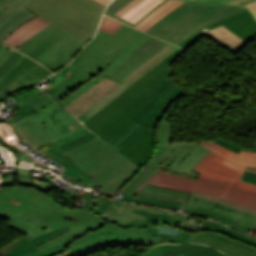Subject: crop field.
I'll return each mask as SVG.
<instances>
[{
	"label": "crop field",
	"instance_id": "obj_1",
	"mask_svg": "<svg viewBox=\"0 0 256 256\" xmlns=\"http://www.w3.org/2000/svg\"><path fill=\"white\" fill-rule=\"evenodd\" d=\"M0 217L26 235L1 248L0 256H71L75 253L62 243L41 252L35 246L82 222L97 228L107 223L92 212L66 209L38 190L18 185L0 187Z\"/></svg>",
	"mask_w": 256,
	"mask_h": 256
},
{
	"label": "crop field",
	"instance_id": "obj_2",
	"mask_svg": "<svg viewBox=\"0 0 256 256\" xmlns=\"http://www.w3.org/2000/svg\"><path fill=\"white\" fill-rule=\"evenodd\" d=\"M150 37L125 24L114 35L99 30L96 38L61 70L68 77L46 92L66 107L91 86L108 78Z\"/></svg>",
	"mask_w": 256,
	"mask_h": 256
},
{
	"label": "crop field",
	"instance_id": "obj_3",
	"mask_svg": "<svg viewBox=\"0 0 256 256\" xmlns=\"http://www.w3.org/2000/svg\"><path fill=\"white\" fill-rule=\"evenodd\" d=\"M182 50H175L83 124L110 144L124 135L134 125L128 119L150 101L145 96L169 80L168 63Z\"/></svg>",
	"mask_w": 256,
	"mask_h": 256
},
{
	"label": "crop field",
	"instance_id": "obj_4",
	"mask_svg": "<svg viewBox=\"0 0 256 256\" xmlns=\"http://www.w3.org/2000/svg\"><path fill=\"white\" fill-rule=\"evenodd\" d=\"M64 154L102 187L101 193L112 197L140 169L98 137Z\"/></svg>",
	"mask_w": 256,
	"mask_h": 256
},
{
	"label": "crop field",
	"instance_id": "obj_5",
	"mask_svg": "<svg viewBox=\"0 0 256 256\" xmlns=\"http://www.w3.org/2000/svg\"><path fill=\"white\" fill-rule=\"evenodd\" d=\"M209 152L210 150L192 141L173 142V132L167 112L155 131V151L151 159L119 192L137 191L162 167L198 176L199 173L191 170Z\"/></svg>",
	"mask_w": 256,
	"mask_h": 256
},
{
	"label": "crop field",
	"instance_id": "obj_6",
	"mask_svg": "<svg viewBox=\"0 0 256 256\" xmlns=\"http://www.w3.org/2000/svg\"><path fill=\"white\" fill-rule=\"evenodd\" d=\"M245 10L226 4L185 2L146 32L177 45L205 27Z\"/></svg>",
	"mask_w": 256,
	"mask_h": 256
},
{
	"label": "crop field",
	"instance_id": "obj_7",
	"mask_svg": "<svg viewBox=\"0 0 256 256\" xmlns=\"http://www.w3.org/2000/svg\"><path fill=\"white\" fill-rule=\"evenodd\" d=\"M30 12L84 40L95 34L105 5L95 0H30Z\"/></svg>",
	"mask_w": 256,
	"mask_h": 256
},
{
	"label": "crop field",
	"instance_id": "obj_8",
	"mask_svg": "<svg viewBox=\"0 0 256 256\" xmlns=\"http://www.w3.org/2000/svg\"><path fill=\"white\" fill-rule=\"evenodd\" d=\"M144 230L142 228L122 229L112 223L97 229L82 223L63 235L37 246V248L41 251L62 242L74 252L86 256L105 247L156 244L162 240L160 236L144 233Z\"/></svg>",
	"mask_w": 256,
	"mask_h": 256
},
{
	"label": "crop field",
	"instance_id": "obj_9",
	"mask_svg": "<svg viewBox=\"0 0 256 256\" xmlns=\"http://www.w3.org/2000/svg\"><path fill=\"white\" fill-rule=\"evenodd\" d=\"M163 170L165 168L155 173L138 191L147 183L179 191L191 192L194 189L256 210L255 185L211 174L196 168L193 170L201 173L198 181L173 176L162 172Z\"/></svg>",
	"mask_w": 256,
	"mask_h": 256
},
{
	"label": "crop field",
	"instance_id": "obj_10",
	"mask_svg": "<svg viewBox=\"0 0 256 256\" xmlns=\"http://www.w3.org/2000/svg\"><path fill=\"white\" fill-rule=\"evenodd\" d=\"M85 43L86 41L50 25L15 49L55 72L67 64Z\"/></svg>",
	"mask_w": 256,
	"mask_h": 256
},
{
	"label": "crop field",
	"instance_id": "obj_11",
	"mask_svg": "<svg viewBox=\"0 0 256 256\" xmlns=\"http://www.w3.org/2000/svg\"><path fill=\"white\" fill-rule=\"evenodd\" d=\"M36 96L41 99H39L31 109L38 113L22 118L14 124L18 134L35 149L52 140L51 136L45 130L41 120L64 110L55 99L37 88L14 97L18 100L14 106L20 107L24 102Z\"/></svg>",
	"mask_w": 256,
	"mask_h": 256
},
{
	"label": "crop field",
	"instance_id": "obj_12",
	"mask_svg": "<svg viewBox=\"0 0 256 256\" xmlns=\"http://www.w3.org/2000/svg\"><path fill=\"white\" fill-rule=\"evenodd\" d=\"M48 70L26 56H22L0 78V100L26 88L32 87L49 75Z\"/></svg>",
	"mask_w": 256,
	"mask_h": 256
},
{
	"label": "crop field",
	"instance_id": "obj_13",
	"mask_svg": "<svg viewBox=\"0 0 256 256\" xmlns=\"http://www.w3.org/2000/svg\"><path fill=\"white\" fill-rule=\"evenodd\" d=\"M183 211L222 221L245 232L255 219V216L248 213L192 195Z\"/></svg>",
	"mask_w": 256,
	"mask_h": 256
},
{
	"label": "crop field",
	"instance_id": "obj_14",
	"mask_svg": "<svg viewBox=\"0 0 256 256\" xmlns=\"http://www.w3.org/2000/svg\"><path fill=\"white\" fill-rule=\"evenodd\" d=\"M185 94L187 93L179 87L158 103L151 100L145 107H143L139 112H137L133 117L129 119L139 125L136 127L135 131L132 134H130L122 143H120L115 148L118 149L122 145L127 143L135 135L140 126H143L154 132L158 122L167 112L169 107L177 99L181 98Z\"/></svg>",
	"mask_w": 256,
	"mask_h": 256
},
{
	"label": "crop field",
	"instance_id": "obj_15",
	"mask_svg": "<svg viewBox=\"0 0 256 256\" xmlns=\"http://www.w3.org/2000/svg\"><path fill=\"white\" fill-rule=\"evenodd\" d=\"M188 243H204L228 256H256V247L210 231L192 233Z\"/></svg>",
	"mask_w": 256,
	"mask_h": 256
},
{
	"label": "crop field",
	"instance_id": "obj_16",
	"mask_svg": "<svg viewBox=\"0 0 256 256\" xmlns=\"http://www.w3.org/2000/svg\"><path fill=\"white\" fill-rule=\"evenodd\" d=\"M175 49H177V47H175L171 44L166 46L157 55H155L153 58H151L149 61H147L145 64H143L141 67H139L133 73H131L129 76H127L126 78H124L123 80L118 82L121 84L119 87H117L114 91H112L109 95H107L105 98H103L100 102H98L95 106H93L90 110H88L86 113H84L78 119L80 120L83 118L86 121L88 119H90L101 108H103L106 104H108L110 101H112L118 94H120L128 85H130L132 82H134L136 79H138L141 75H143L145 72H147L149 69H151L155 64H157L159 61L164 59Z\"/></svg>",
	"mask_w": 256,
	"mask_h": 256
},
{
	"label": "crop field",
	"instance_id": "obj_17",
	"mask_svg": "<svg viewBox=\"0 0 256 256\" xmlns=\"http://www.w3.org/2000/svg\"><path fill=\"white\" fill-rule=\"evenodd\" d=\"M219 25L225 26L230 31H232L239 37L243 38L247 42L251 38L255 37V35H256V20L254 19L252 14L249 12V10H247L245 12H242L238 15L229 17L223 21H220V22L200 31L199 33L187 38L185 41L178 44V46L185 48L187 45H189L192 41H194L202 33L208 31L211 28L217 27Z\"/></svg>",
	"mask_w": 256,
	"mask_h": 256
},
{
	"label": "crop field",
	"instance_id": "obj_18",
	"mask_svg": "<svg viewBox=\"0 0 256 256\" xmlns=\"http://www.w3.org/2000/svg\"><path fill=\"white\" fill-rule=\"evenodd\" d=\"M168 43L152 37L139 47L110 77L109 79L116 82L120 81L132 71L137 69L161 49H163Z\"/></svg>",
	"mask_w": 256,
	"mask_h": 256
},
{
	"label": "crop field",
	"instance_id": "obj_19",
	"mask_svg": "<svg viewBox=\"0 0 256 256\" xmlns=\"http://www.w3.org/2000/svg\"><path fill=\"white\" fill-rule=\"evenodd\" d=\"M154 150V133L140 127L136 135L118 149L138 166H144Z\"/></svg>",
	"mask_w": 256,
	"mask_h": 256
},
{
	"label": "crop field",
	"instance_id": "obj_20",
	"mask_svg": "<svg viewBox=\"0 0 256 256\" xmlns=\"http://www.w3.org/2000/svg\"><path fill=\"white\" fill-rule=\"evenodd\" d=\"M119 85L105 78L75 99L66 108L78 118Z\"/></svg>",
	"mask_w": 256,
	"mask_h": 256
},
{
	"label": "crop field",
	"instance_id": "obj_21",
	"mask_svg": "<svg viewBox=\"0 0 256 256\" xmlns=\"http://www.w3.org/2000/svg\"><path fill=\"white\" fill-rule=\"evenodd\" d=\"M46 130L54 139L57 141L70 133L84 127L80 122H78L68 111L64 110L48 119L42 121ZM51 141V142H53ZM49 142L37 150L43 151L53 144Z\"/></svg>",
	"mask_w": 256,
	"mask_h": 256
},
{
	"label": "crop field",
	"instance_id": "obj_22",
	"mask_svg": "<svg viewBox=\"0 0 256 256\" xmlns=\"http://www.w3.org/2000/svg\"><path fill=\"white\" fill-rule=\"evenodd\" d=\"M196 168L240 180L245 167L211 151ZM241 181V180H240Z\"/></svg>",
	"mask_w": 256,
	"mask_h": 256
},
{
	"label": "crop field",
	"instance_id": "obj_23",
	"mask_svg": "<svg viewBox=\"0 0 256 256\" xmlns=\"http://www.w3.org/2000/svg\"><path fill=\"white\" fill-rule=\"evenodd\" d=\"M30 3L29 0H24L8 9L2 10L0 16V42L9 36L14 30L25 22L37 17L30 13L23 6Z\"/></svg>",
	"mask_w": 256,
	"mask_h": 256
},
{
	"label": "crop field",
	"instance_id": "obj_24",
	"mask_svg": "<svg viewBox=\"0 0 256 256\" xmlns=\"http://www.w3.org/2000/svg\"><path fill=\"white\" fill-rule=\"evenodd\" d=\"M89 130L85 127L82 128L80 130H78L77 132L57 141L54 142L53 144L55 146L43 151L45 154L51 156L52 158L55 159V162L58 163L59 165L65 167L67 170L64 172L65 174L72 176L74 178L83 180V181H87V182H91L92 183V178L87 175L82 169H80L77 165H75L71 160H69L61 151H59L56 147L67 143L79 136H81L82 134L88 132Z\"/></svg>",
	"mask_w": 256,
	"mask_h": 256
},
{
	"label": "crop field",
	"instance_id": "obj_25",
	"mask_svg": "<svg viewBox=\"0 0 256 256\" xmlns=\"http://www.w3.org/2000/svg\"><path fill=\"white\" fill-rule=\"evenodd\" d=\"M48 25H49V23H47L37 17V18L25 23L24 25L20 26L15 32H13L2 43H5L14 48Z\"/></svg>",
	"mask_w": 256,
	"mask_h": 256
},
{
	"label": "crop field",
	"instance_id": "obj_26",
	"mask_svg": "<svg viewBox=\"0 0 256 256\" xmlns=\"http://www.w3.org/2000/svg\"><path fill=\"white\" fill-rule=\"evenodd\" d=\"M122 196H123L122 199H124V200L132 201V202H136V203H140V204L176 209V210L179 209V207L182 203V202H178V201L147 197V196L133 194V193H125Z\"/></svg>",
	"mask_w": 256,
	"mask_h": 256
},
{
	"label": "crop field",
	"instance_id": "obj_27",
	"mask_svg": "<svg viewBox=\"0 0 256 256\" xmlns=\"http://www.w3.org/2000/svg\"><path fill=\"white\" fill-rule=\"evenodd\" d=\"M139 193L153 197L178 200L182 202H186L190 196V193L159 188L149 184H147Z\"/></svg>",
	"mask_w": 256,
	"mask_h": 256
},
{
	"label": "crop field",
	"instance_id": "obj_28",
	"mask_svg": "<svg viewBox=\"0 0 256 256\" xmlns=\"http://www.w3.org/2000/svg\"><path fill=\"white\" fill-rule=\"evenodd\" d=\"M201 229L203 230H211V231H215L224 235H228L234 239L246 242L250 245L256 246V239L249 237L245 234H242L240 232H237L235 230H232L230 228H227L223 225H219L215 222L206 220L205 223L202 225Z\"/></svg>",
	"mask_w": 256,
	"mask_h": 256
},
{
	"label": "crop field",
	"instance_id": "obj_29",
	"mask_svg": "<svg viewBox=\"0 0 256 256\" xmlns=\"http://www.w3.org/2000/svg\"><path fill=\"white\" fill-rule=\"evenodd\" d=\"M183 253L185 256H225L211 247L198 244L182 245V249L176 250L167 256H176Z\"/></svg>",
	"mask_w": 256,
	"mask_h": 256
},
{
	"label": "crop field",
	"instance_id": "obj_30",
	"mask_svg": "<svg viewBox=\"0 0 256 256\" xmlns=\"http://www.w3.org/2000/svg\"><path fill=\"white\" fill-rule=\"evenodd\" d=\"M199 144L217 152L218 154L224 156V157H227L243 166H250V167H254L256 168V162L255 161H251V160H246V159H242L240 157L237 156V154L213 143L212 141H210L209 143H206L204 141H199Z\"/></svg>",
	"mask_w": 256,
	"mask_h": 256
},
{
	"label": "crop field",
	"instance_id": "obj_31",
	"mask_svg": "<svg viewBox=\"0 0 256 256\" xmlns=\"http://www.w3.org/2000/svg\"><path fill=\"white\" fill-rule=\"evenodd\" d=\"M132 0H115L113 3H111L106 12H105V15L109 16V17H112L116 20H119L125 24H128L132 27L136 26L139 22H141L145 17H147L151 12H153L156 8H158L159 6H161L163 3H165L166 1L168 0H164L163 2H161L159 5H157L155 8H153L151 11H149L146 15H144L139 21H137L135 24L119 17V16H116L114 15L116 12H118L120 9H122L124 6H126L128 3H130Z\"/></svg>",
	"mask_w": 256,
	"mask_h": 256
},
{
	"label": "crop field",
	"instance_id": "obj_32",
	"mask_svg": "<svg viewBox=\"0 0 256 256\" xmlns=\"http://www.w3.org/2000/svg\"><path fill=\"white\" fill-rule=\"evenodd\" d=\"M161 1L162 0H143L138 5H136L134 8H132L130 11H128L126 14H124L122 17L135 23L144 14H146L150 9H152L154 6H156Z\"/></svg>",
	"mask_w": 256,
	"mask_h": 256
},
{
	"label": "crop field",
	"instance_id": "obj_33",
	"mask_svg": "<svg viewBox=\"0 0 256 256\" xmlns=\"http://www.w3.org/2000/svg\"><path fill=\"white\" fill-rule=\"evenodd\" d=\"M208 32L218 36L221 40H223L227 44L237 48L238 50H240L247 43L246 41L239 38L238 36H236L235 34L230 32L228 29H226L223 26L212 29Z\"/></svg>",
	"mask_w": 256,
	"mask_h": 256
},
{
	"label": "crop field",
	"instance_id": "obj_34",
	"mask_svg": "<svg viewBox=\"0 0 256 256\" xmlns=\"http://www.w3.org/2000/svg\"><path fill=\"white\" fill-rule=\"evenodd\" d=\"M192 195L199 196V197H202V198H205V199H208V200H212V201H215V202H218V203H221V204H224V205H227V206H230V207L248 212V213L253 214V215L256 216V211L255 210L243 207L241 205H238V204H235V203H232V202H228V201H225V200H222V199H219V198H216V197H213V196L201 193V192H197V191H194V190L192 191ZM252 228H256V221L253 224Z\"/></svg>",
	"mask_w": 256,
	"mask_h": 256
},
{
	"label": "crop field",
	"instance_id": "obj_35",
	"mask_svg": "<svg viewBox=\"0 0 256 256\" xmlns=\"http://www.w3.org/2000/svg\"><path fill=\"white\" fill-rule=\"evenodd\" d=\"M175 88H177L176 84L173 82L172 79H170L168 82H166L164 85H162L161 87H159L158 89H156L154 92H152L146 97L158 102L167 94H169L171 91H173Z\"/></svg>",
	"mask_w": 256,
	"mask_h": 256
},
{
	"label": "crop field",
	"instance_id": "obj_36",
	"mask_svg": "<svg viewBox=\"0 0 256 256\" xmlns=\"http://www.w3.org/2000/svg\"><path fill=\"white\" fill-rule=\"evenodd\" d=\"M95 137H97V136L90 131V132L84 134L83 136H81V137H79V138H77V139H75V140H73V141H71L67 144H64V145L58 147V149H60L62 152H64L66 150H69L73 147H76V146H78V145H80V144H82V143H84V142H86L90 139H93Z\"/></svg>",
	"mask_w": 256,
	"mask_h": 256
},
{
	"label": "crop field",
	"instance_id": "obj_37",
	"mask_svg": "<svg viewBox=\"0 0 256 256\" xmlns=\"http://www.w3.org/2000/svg\"><path fill=\"white\" fill-rule=\"evenodd\" d=\"M121 25L122 23L103 16L100 29L114 34Z\"/></svg>",
	"mask_w": 256,
	"mask_h": 256
},
{
	"label": "crop field",
	"instance_id": "obj_38",
	"mask_svg": "<svg viewBox=\"0 0 256 256\" xmlns=\"http://www.w3.org/2000/svg\"><path fill=\"white\" fill-rule=\"evenodd\" d=\"M212 141L216 142L217 144L235 152V153H239L240 150H245V151H253L256 152V143L254 144L253 147H251L250 149H241V146L237 145V144H233L227 141H224L222 139H220L219 137H216L214 139H212Z\"/></svg>",
	"mask_w": 256,
	"mask_h": 256
},
{
	"label": "crop field",
	"instance_id": "obj_39",
	"mask_svg": "<svg viewBox=\"0 0 256 256\" xmlns=\"http://www.w3.org/2000/svg\"><path fill=\"white\" fill-rule=\"evenodd\" d=\"M174 246L176 245H157L150 248V250L143 256H162Z\"/></svg>",
	"mask_w": 256,
	"mask_h": 256
},
{
	"label": "crop field",
	"instance_id": "obj_40",
	"mask_svg": "<svg viewBox=\"0 0 256 256\" xmlns=\"http://www.w3.org/2000/svg\"><path fill=\"white\" fill-rule=\"evenodd\" d=\"M183 2L177 1L176 3H174L172 6H170L169 8H167L165 11H163L161 14H159L158 16H156L154 19H152L150 22H148L146 25H144L142 28H140V30L145 31L146 29H148L150 26H152L155 22H157L159 19H161L163 16H165L167 13H169L170 11L174 10L175 8H177L179 5H181ZM147 31V30H146Z\"/></svg>",
	"mask_w": 256,
	"mask_h": 256
},
{
	"label": "crop field",
	"instance_id": "obj_41",
	"mask_svg": "<svg viewBox=\"0 0 256 256\" xmlns=\"http://www.w3.org/2000/svg\"><path fill=\"white\" fill-rule=\"evenodd\" d=\"M39 98H34L28 102H26L25 104H23L16 113H21V115L18 117V119L22 118V117H25L27 115H30V114H33V113H36L32 110H29L35 103L36 101L38 100Z\"/></svg>",
	"mask_w": 256,
	"mask_h": 256
},
{
	"label": "crop field",
	"instance_id": "obj_42",
	"mask_svg": "<svg viewBox=\"0 0 256 256\" xmlns=\"http://www.w3.org/2000/svg\"><path fill=\"white\" fill-rule=\"evenodd\" d=\"M174 2L173 0H169L168 2H166L165 4H163L161 7H159L158 9H156L153 13H151L147 18H145L141 23H139L136 28H140L142 27L144 24H146L148 21H150L152 18H154L156 15H158L159 13H161L163 10H165L167 7H169L170 5H172Z\"/></svg>",
	"mask_w": 256,
	"mask_h": 256
},
{
	"label": "crop field",
	"instance_id": "obj_43",
	"mask_svg": "<svg viewBox=\"0 0 256 256\" xmlns=\"http://www.w3.org/2000/svg\"><path fill=\"white\" fill-rule=\"evenodd\" d=\"M22 54L15 52L1 67H0V77L11 67V65L17 61Z\"/></svg>",
	"mask_w": 256,
	"mask_h": 256
},
{
	"label": "crop field",
	"instance_id": "obj_44",
	"mask_svg": "<svg viewBox=\"0 0 256 256\" xmlns=\"http://www.w3.org/2000/svg\"><path fill=\"white\" fill-rule=\"evenodd\" d=\"M192 1L229 3V4L240 5L247 8L245 4L256 1V0H192Z\"/></svg>",
	"mask_w": 256,
	"mask_h": 256
},
{
	"label": "crop field",
	"instance_id": "obj_45",
	"mask_svg": "<svg viewBox=\"0 0 256 256\" xmlns=\"http://www.w3.org/2000/svg\"><path fill=\"white\" fill-rule=\"evenodd\" d=\"M15 52L4 45L0 44V66Z\"/></svg>",
	"mask_w": 256,
	"mask_h": 256
},
{
	"label": "crop field",
	"instance_id": "obj_46",
	"mask_svg": "<svg viewBox=\"0 0 256 256\" xmlns=\"http://www.w3.org/2000/svg\"><path fill=\"white\" fill-rule=\"evenodd\" d=\"M203 35L206 36V37H208V38H210V39H212V40H214V41L217 42L218 44L222 45V46L225 47L226 49H228V50H230L231 52H233L234 54H236L237 51H238V50H236V49L230 47L229 45H227L225 42L221 41L219 38H217V37L211 35V34L208 33V32L205 33V34H203Z\"/></svg>",
	"mask_w": 256,
	"mask_h": 256
},
{
	"label": "crop field",
	"instance_id": "obj_47",
	"mask_svg": "<svg viewBox=\"0 0 256 256\" xmlns=\"http://www.w3.org/2000/svg\"><path fill=\"white\" fill-rule=\"evenodd\" d=\"M242 180L256 184V173L245 171Z\"/></svg>",
	"mask_w": 256,
	"mask_h": 256
},
{
	"label": "crop field",
	"instance_id": "obj_48",
	"mask_svg": "<svg viewBox=\"0 0 256 256\" xmlns=\"http://www.w3.org/2000/svg\"><path fill=\"white\" fill-rule=\"evenodd\" d=\"M22 0H0V10L8 8Z\"/></svg>",
	"mask_w": 256,
	"mask_h": 256
},
{
	"label": "crop field",
	"instance_id": "obj_49",
	"mask_svg": "<svg viewBox=\"0 0 256 256\" xmlns=\"http://www.w3.org/2000/svg\"><path fill=\"white\" fill-rule=\"evenodd\" d=\"M141 0H134L130 4H128L126 7H124L122 10H120L116 15H123L126 13L128 10H130L133 6H135L137 3H139Z\"/></svg>",
	"mask_w": 256,
	"mask_h": 256
},
{
	"label": "crop field",
	"instance_id": "obj_50",
	"mask_svg": "<svg viewBox=\"0 0 256 256\" xmlns=\"http://www.w3.org/2000/svg\"><path fill=\"white\" fill-rule=\"evenodd\" d=\"M239 156L246 158V159H251V160H255L256 161V153L253 152H244L241 151Z\"/></svg>",
	"mask_w": 256,
	"mask_h": 256
},
{
	"label": "crop field",
	"instance_id": "obj_51",
	"mask_svg": "<svg viewBox=\"0 0 256 256\" xmlns=\"http://www.w3.org/2000/svg\"><path fill=\"white\" fill-rule=\"evenodd\" d=\"M4 186L6 185H16V175L9 176L3 179Z\"/></svg>",
	"mask_w": 256,
	"mask_h": 256
},
{
	"label": "crop field",
	"instance_id": "obj_52",
	"mask_svg": "<svg viewBox=\"0 0 256 256\" xmlns=\"http://www.w3.org/2000/svg\"><path fill=\"white\" fill-rule=\"evenodd\" d=\"M137 126V124H135L133 127H132V129L128 132V133H126L124 136H122L121 138H119L117 141H115L113 144H111V145H113L114 147L117 145V144H119L121 141H123L130 133H132L133 131H134V129H135V127Z\"/></svg>",
	"mask_w": 256,
	"mask_h": 256
},
{
	"label": "crop field",
	"instance_id": "obj_53",
	"mask_svg": "<svg viewBox=\"0 0 256 256\" xmlns=\"http://www.w3.org/2000/svg\"><path fill=\"white\" fill-rule=\"evenodd\" d=\"M33 184H35L37 186H40L41 188H43V189H45L47 191L52 190V188L48 187L45 183H39V184L33 183Z\"/></svg>",
	"mask_w": 256,
	"mask_h": 256
},
{
	"label": "crop field",
	"instance_id": "obj_54",
	"mask_svg": "<svg viewBox=\"0 0 256 256\" xmlns=\"http://www.w3.org/2000/svg\"><path fill=\"white\" fill-rule=\"evenodd\" d=\"M19 173L23 176H27V170L25 169H19Z\"/></svg>",
	"mask_w": 256,
	"mask_h": 256
},
{
	"label": "crop field",
	"instance_id": "obj_55",
	"mask_svg": "<svg viewBox=\"0 0 256 256\" xmlns=\"http://www.w3.org/2000/svg\"><path fill=\"white\" fill-rule=\"evenodd\" d=\"M256 18V6L249 9Z\"/></svg>",
	"mask_w": 256,
	"mask_h": 256
},
{
	"label": "crop field",
	"instance_id": "obj_56",
	"mask_svg": "<svg viewBox=\"0 0 256 256\" xmlns=\"http://www.w3.org/2000/svg\"><path fill=\"white\" fill-rule=\"evenodd\" d=\"M97 1H99L105 5H107L110 2V0H97Z\"/></svg>",
	"mask_w": 256,
	"mask_h": 256
},
{
	"label": "crop field",
	"instance_id": "obj_57",
	"mask_svg": "<svg viewBox=\"0 0 256 256\" xmlns=\"http://www.w3.org/2000/svg\"><path fill=\"white\" fill-rule=\"evenodd\" d=\"M255 5H256V2H253V3L247 4L248 8L253 7V6H255Z\"/></svg>",
	"mask_w": 256,
	"mask_h": 256
},
{
	"label": "crop field",
	"instance_id": "obj_58",
	"mask_svg": "<svg viewBox=\"0 0 256 256\" xmlns=\"http://www.w3.org/2000/svg\"><path fill=\"white\" fill-rule=\"evenodd\" d=\"M249 169H253V170H256V169H254V168H250V167H248Z\"/></svg>",
	"mask_w": 256,
	"mask_h": 256
},
{
	"label": "crop field",
	"instance_id": "obj_59",
	"mask_svg": "<svg viewBox=\"0 0 256 256\" xmlns=\"http://www.w3.org/2000/svg\"><path fill=\"white\" fill-rule=\"evenodd\" d=\"M248 170V169H247ZM248 171H253V170H248ZM253 172H256V171H253Z\"/></svg>",
	"mask_w": 256,
	"mask_h": 256
},
{
	"label": "crop field",
	"instance_id": "obj_60",
	"mask_svg": "<svg viewBox=\"0 0 256 256\" xmlns=\"http://www.w3.org/2000/svg\"><path fill=\"white\" fill-rule=\"evenodd\" d=\"M178 256H184V255H178Z\"/></svg>",
	"mask_w": 256,
	"mask_h": 256
},
{
	"label": "crop field",
	"instance_id": "obj_61",
	"mask_svg": "<svg viewBox=\"0 0 256 256\" xmlns=\"http://www.w3.org/2000/svg\"><path fill=\"white\" fill-rule=\"evenodd\" d=\"M2 14V12L0 11V15Z\"/></svg>",
	"mask_w": 256,
	"mask_h": 256
}]
</instances>
